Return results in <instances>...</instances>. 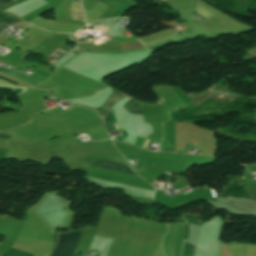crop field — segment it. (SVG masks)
<instances>
[{"instance_id":"obj_7","label":"crop field","mask_w":256,"mask_h":256,"mask_svg":"<svg viewBox=\"0 0 256 256\" xmlns=\"http://www.w3.org/2000/svg\"><path fill=\"white\" fill-rule=\"evenodd\" d=\"M148 141H149V140L147 139L146 142H145V144H144V146H143L144 148L146 147Z\"/></svg>"},{"instance_id":"obj_4","label":"crop field","mask_w":256,"mask_h":256,"mask_svg":"<svg viewBox=\"0 0 256 256\" xmlns=\"http://www.w3.org/2000/svg\"><path fill=\"white\" fill-rule=\"evenodd\" d=\"M126 95H124L123 93L119 92V91H115L112 96L106 101V103L103 106V114H106L107 111L110 109V107L116 103L118 100H120L121 98L125 97Z\"/></svg>"},{"instance_id":"obj_6","label":"crop field","mask_w":256,"mask_h":256,"mask_svg":"<svg viewBox=\"0 0 256 256\" xmlns=\"http://www.w3.org/2000/svg\"><path fill=\"white\" fill-rule=\"evenodd\" d=\"M111 111H112V109H111ZM111 111L105 117V123H106V127H107L108 132L115 130V127H116V125L114 127V123H113L114 116H113V119H112ZM114 122H115V120H114Z\"/></svg>"},{"instance_id":"obj_3","label":"crop field","mask_w":256,"mask_h":256,"mask_svg":"<svg viewBox=\"0 0 256 256\" xmlns=\"http://www.w3.org/2000/svg\"><path fill=\"white\" fill-rule=\"evenodd\" d=\"M72 20L84 22L80 0H69Z\"/></svg>"},{"instance_id":"obj_8","label":"crop field","mask_w":256,"mask_h":256,"mask_svg":"<svg viewBox=\"0 0 256 256\" xmlns=\"http://www.w3.org/2000/svg\"><path fill=\"white\" fill-rule=\"evenodd\" d=\"M127 98L131 99V97H129V96Z\"/></svg>"},{"instance_id":"obj_1","label":"crop field","mask_w":256,"mask_h":256,"mask_svg":"<svg viewBox=\"0 0 256 256\" xmlns=\"http://www.w3.org/2000/svg\"><path fill=\"white\" fill-rule=\"evenodd\" d=\"M81 233L62 235L58 248L49 256H72L78 246Z\"/></svg>"},{"instance_id":"obj_5","label":"crop field","mask_w":256,"mask_h":256,"mask_svg":"<svg viewBox=\"0 0 256 256\" xmlns=\"http://www.w3.org/2000/svg\"><path fill=\"white\" fill-rule=\"evenodd\" d=\"M65 51L59 49V48H55L52 52H50L46 57V61L48 63H53L54 61H56L62 54H64ZM63 56V55H62Z\"/></svg>"},{"instance_id":"obj_2","label":"crop field","mask_w":256,"mask_h":256,"mask_svg":"<svg viewBox=\"0 0 256 256\" xmlns=\"http://www.w3.org/2000/svg\"><path fill=\"white\" fill-rule=\"evenodd\" d=\"M95 166L111 169V170H116L132 175H136L131 168H128L126 166L119 165L117 163L109 162V161H99L94 164ZM138 176V175H136Z\"/></svg>"},{"instance_id":"obj_9","label":"crop field","mask_w":256,"mask_h":256,"mask_svg":"<svg viewBox=\"0 0 256 256\" xmlns=\"http://www.w3.org/2000/svg\"><path fill=\"white\" fill-rule=\"evenodd\" d=\"M196 11V10H195Z\"/></svg>"}]
</instances>
